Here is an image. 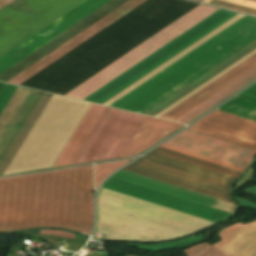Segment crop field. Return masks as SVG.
I'll return each instance as SVG.
<instances>
[{"label":"crop field","instance_id":"8a807250","mask_svg":"<svg viewBox=\"0 0 256 256\" xmlns=\"http://www.w3.org/2000/svg\"><path fill=\"white\" fill-rule=\"evenodd\" d=\"M92 166L0 179V232L41 226L89 234Z\"/></svg>","mask_w":256,"mask_h":256},{"label":"crop field","instance_id":"ac0d7876","mask_svg":"<svg viewBox=\"0 0 256 256\" xmlns=\"http://www.w3.org/2000/svg\"><path fill=\"white\" fill-rule=\"evenodd\" d=\"M198 5L147 0L21 86L63 95Z\"/></svg>","mask_w":256,"mask_h":256},{"label":"crop field","instance_id":"34b2d1b8","mask_svg":"<svg viewBox=\"0 0 256 256\" xmlns=\"http://www.w3.org/2000/svg\"><path fill=\"white\" fill-rule=\"evenodd\" d=\"M256 34V19L243 17L111 107L138 112Z\"/></svg>","mask_w":256,"mask_h":256},{"label":"crop field","instance_id":"412701ff","mask_svg":"<svg viewBox=\"0 0 256 256\" xmlns=\"http://www.w3.org/2000/svg\"><path fill=\"white\" fill-rule=\"evenodd\" d=\"M123 170L231 203L234 202L229 195L230 186L241 175V172L160 147Z\"/></svg>","mask_w":256,"mask_h":256},{"label":"crop field","instance_id":"f4fd0767","mask_svg":"<svg viewBox=\"0 0 256 256\" xmlns=\"http://www.w3.org/2000/svg\"><path fill=\"white\" fill-rule=\"evenodd\" d=\"M84 0H16L0 11V56Z\"/></svg>","mask_w":256,"mask_h":256},{"label":"crop field","instance_id":"dd49c442","mask_svg":"<svg viewBox=\"0 0 256 256\" xmlns=\"http://www.w3.org/2000/svg\"><path fill=\"white\" fill-rule=\"evenodd\" d=\"M216 10L217 8L203 5L198 6L132 51L128 52L88 80L66 93L65 96L81 100L85 99Z\"/></svg>","mask_w":256,"mask_h":256},{"label":"crop field","instance_id":"e52e79f7","mask_svg":"<svg viewBox=\"0 0 256 256\" xmlns=\"http://www.w3.org/2000/svg\"><path fill=\"white\" fill-rule=\"evenodd\" d=\"M237 13L219 9L185 33L89 96L85 101L102 104L168 59L172 58Z\"/></svg>","mask_w":256,"mask_h":256},{"label":"crop field","instance_id":"d8731c3e","mask_svg":"<svg viewBox=\"0 0 256 256\" xmlns=\"http://www.w3.org/2000/svg\"><path fill=\"white\" fill-rule=\"evenodd\" d=\"M144 119L107 107L72 165L121 158Z\"/></svg>","mask_w":256,"mask_h":256},{"label":"crop field","instance_id":"5a996713","mask_svg":"<svg viewBox=\"0 0 256 256\" xmlns=\"http://www.w3.org/2000/svg\"><path fill=\"white\" fill-rule=\"evenodd\" d=\"M164 144L246 169L256 151L191 131H183Z\"/></svg>","mask_w":256,"mask_h":256},{"label":"crop field","instance_id":"3316defc","mask_svg":"<svg viewBox=\"0 0 256 256\" xmlns=\"http://www.w3.org/2000/svg\"><path fill=\"white\" fill-rule=\"evenodd\" d=\"M102 188L159 204L168 208L192 214L215 222L227 219L232 213L205 206L196 202L172 196L140 185L111 177Z\"/></svg>","mask_w":256,"mask_h":256},{"label":"crop field","instance_id":"28ad6ade","mask_svg":"<svg viewBox=\"0 0 256 256\" xmlns=\"http://www.w3.org/2000/svg\"><path fill=\"white\" fill-rule=\"evenodd\" d=\"M187 130L256 150V122L213 111Z\"/></svg>","mask_w":256,"mask_h":256},{"label":"crop field","instance_id":"d1516ede","mask_svg":"<svg viewBox=\"0 0 256 256\" xmlns=\"http://www.w3.org/2000/svg\"><path fill=\"white\" fill-rule=\"evenodd\" d=\"M109 0H86L8 53L0 57V72L49 41ZM8 69V68H7ZM5 71V70H4Z\"/></svg>","mask_w":256,"mask_h":256},{"label":"crop field","instance_id":"22f410ed","mask_svg":"<svg viewBox=\"0 0 256 256\" xmlns=\"http://www.w3.org/2000/svg\"><path fill=\"white\" fill-rule=\"evenodd\" d=\"M127 1L128 0L109 1L108 3H106L84 19L80 20L49 42L45 43L44 45H42L29 55L9 67L5 71L1 72L0 81H8L9 79H11L12 77H14L15 75H17L18 73H20L21 71H23L24 69H26L27 67H29L30 65H32L33 63H35L72 37H74L75 35L79 34L80 32H82L83 30H85L86 28H88L89 26H91L92 24H94L95 22H97L98 20H100Z\"/></svg>","mask_w":256,"mask_h":256},{"label":"crop field","instance_id":"cbeb9de0","mask_svg":"<svg viewBox=\"0 0 256 256\" xmlns=\"http://www.w3.org/2000/svg\"><path fill=\"white\" fill-rule=\"evenodd\" d=\"M144 1L145 0L128 1L127 3H125L124 5H122L121 7H119L82 33H80L79 35L75 36L41 60L30 66L29 68L9 80L8 83L16 85L21 84L22 82H24L25 80H27L28 78H30L31 76H33L34 74H36L37 72H39L40 70H42L43 68H45L46 66H48L49 64H51L52 62H54L55 60H57L58 58H60L61 56H63L64 54H66L67 52H69L70 50H72L73 48H75L76 46H78L79 44H81L82 42H84L85 40H87L88 38H90L91 36H93L94 34H96L97 32H99L100 30H102L103 28H105L106 26H108L109 24H111L112 22H114L115 20H117Z\"/></svg>","mask_w":256,"mask_h":256},{"label":"crop field","instance_id":"5142ce71","mask_svg":"<svg viewBox=\"0 0 256 256\" xmlns=\"http://www.w3.org/2000/svg\"><path fill=\"white\" fill-rule=\"evenodd\" d=\"M256 66V54L179 104L178 106L174 107L167 113L161 116V118L169 119V120H177L191 109L223 89L225 86L251 70Z\"/></svg>","mask_w":256,"mask_h":256},{"label":"crop field","instance_id":"d9b57169","mask_svg":"<svg viewBox=\"0 0 256 256\" xmlns=\"http://www.w3.org/2000/svg\"><path fill=\"white\" fill-rule=\"evenodd\" d=\"M223 240L212 245L230 256H254L256 254V220L240 223L220 231Z\"/></svg>","mask_w":256,"mask_h":256},{"label":"crop field","instance_id":"733c2abd","mask_svg":"<svg viewBox=\"0 0 256 256\" xmlns=\"http://www.w3.org/2000/svg\"><path fill=\"white\" fill-rule=\"evenodd\" d=\"M180 126L182 124L146 117L122 158L144 151Z\"/></svg>","mask_w":256,"mask_h":256},{"label":"crop field","instance_id":"4a817a6b","mask_svg":"<svg viewBox=\"0 0 256 256\" xmlns=\"http://www.w3.org/2000/svg\"><path fill=\"white\" fill-rule=\"evenodd\" d=\"M105 109V106L92 104L53 167L71 165Z\"/></svg>","mask_w":256,"mask_h":256},{"label":"crop field","instance_id":"bc2a9ffb","mask_svg":"<svg viewBox=\"0 0 256 256\" xmlns=\"http://www.w3.org/2000/svg\"><path fill=\"white\" fill-rule=\"evenodd\" d=\"M255 77H256V68L250 71L249 73H247L246 75H244L242 78L252 80ZM247 82H249V80H245L241 78L238 79L237 81H235L234 83H232L231 85H229L228 87H226L225 89H223L222 91H220L219 93H217L216 95H214L213 97L205 101L204 103H202L201 105H199L198 107H196L195 109H193L192 111H190L189 113H187L186 115L178 119L176 122H180L184 124L188 123L193 118H195L196 116H198L199 114H201L202 112H204L205 110L213 106L214 104L218 103L219 101L227 97L229 94H231L232 92H234L236 89L243 86Z\"/></svg>","mask_w":256,"mask_h":256},{"label":"crop field","instance_id":"214f88e0","mask_svg":"<svg viewBox=\"0 0 256 256\" xmlns=\"http://www.w3.org/2000/svg\"><path fill=\"white\" fill-rule=\"evenodd\" d=\"M217 110L256 121V103L240 98H233Z\"/></svg>","mask_w":256,"mask_h":256},{"label":"crop field","instance_id":"92a150f3","mask_svg":"<svg viewBox=\"0 0 256 256\" xmlns=\"http://www.w3.org/2000/svg\"><path fill=\"white\" fill-rule=\"evenodd\" d=\"M204 3L256 16V2L250 0H205Z\"/></svg>","mask_w":256,"mask_h":256},{"label":"crop field","instance_id":"dafd665d","mask_svg":"<svg viewBox=\"0 0 256 256\" xmlns=\"http://www.w3.org/2000/svg\"><path fill=\"white\" fill-rule=\"evenodd\" d=\"M255 38H256V35L250 38L249 40H247L246 42H244L243 44H241L240 46L236 47L235 49H233L232 51H230L229 53H227L226 55H224L223 57H221L211 65H209L208 67H206L205 69H203L202 71H200L199 73H197L196 75H194L193 77H191L190 79H188L187 81H185L184 83H182L181 85L173 89L172 91L168 92L167 94H165L164 96H162L161 98H159L158 100H156L155 102H153L152 104H150L149 106L141 110L139 113L141 114L145 113L146 111H148L149 109H151L152 107H154L155 105H157L158 103H160L161 101H163L164 99H166L167 97H169L170 95H172L173 93H175L176 91H178L179 89H181L182 87H184L185 85H187L188 83L196 79L197 77H199L200 75H202L203 73L211 69L213 66H215L216 64H218L219 62H221L222 60H224L225 58H227L228 56H230L231 54H233L234 52H236L237 50H239L240 48H242L243 46H245Z\"/></svg>","mask_w":256,"mask_h":256},{"label":"crop field","instance_id":"00972430","mask_svg":"<svg viewBox=\"0 0 256 256\" xmlns=\"http://www.w3.org/2000/svg\"><path fill=\"white\" fill-rule=\"evenodd\" d=\"M128 161L130 160L95 165L94 188L97 189L98 185L103 179L108 177L114 170L124 165Z\"/></svg>","mask_w":256,"mask_h":256},{"label":"crop field","instance_id":"a9b5d70f","mask_svg":"<svg viewBox=\"0 0 256 256\" xmlns=\"http://www.w3.org/2000/svg\"><path fill=\"white\" fill-rule=\"evenodd\" d=\"M160 147L167 148V149H170V150H173V151H176V152H180V153L192 156V157H196V158H199V159H202V160H205V161H209V162H212V163H215V164H218V165H222V166H225V167H228V168H231V169H234V170H238V171H241V172L244 171V169L234 167V166L222 163V162H218V161H215V160H212V159H209V158H206V157H202V156L190 153V152H186V151L174 148V147H170V146H167V145H164V144L160 145Z\"/></svg>","mask_w":256,"mask_h":256},{"label":"crop field","instance_id":"4177f3b9","mask_svg":"<svg viewBox=\"0 0 256 256\" xmlns=\"http://www.w3.org/2000/svg\"><path fill=\"white\" fill-rule=\"evenodd\" d=\"M16 89V86L8 85L4 87L3 91L0 94V113L6 103L8 102L9 98L13 94L14 90Z\"/></svg>","mask_w":256,"mask_h":256},{"label":"crop field","instance_id":"730fd06b","mask_svg":"<svg viewBox=\"0 0 256 256\" xmlns=\"http://www.w3.org/2000/svg\"><path fill=\"white\" fill-rule=\"evenodd\" d=\"M210 247L207 243H202L197 246L188 248L186 250H183L184 254L186 256H200L205 250H207Z\"/></svg>","mask_w":256,"mask_h":256},{"label":"crop field","instance_id":"eef30255","mask_svg":"<svg viewBox=\"0 0 256 256\" xmlns=\"http://www.w3.org/2000/svg\"><path fill=\"white\" fill-rule=\"evenodd\" d=\"M237 97L256 102V83L237 95Z\"/></svg>","mask_w":256,"mask_h":256},{"label":"crop field","instance_id":"ae1a2a85","mask_svg":"<svg viewBox=\"0 0 256 256\" xmlns=\"http://www.w3.org/2000/svg\"><path fill=\"white\" fill-rule=\"evenodd\" d=\"M244 191H247L249 193H252V194L256 195V187L247 188ZM236 199L238 200V202H239V204L241 206H245V207H249V208H252V209H256V204L255 203H253L251 201H248L246 199H243V198L236 197Z\"/></svg>","mask_w":256,"mask_h":256},{"label":"crop field","instance_id":"d3111659","mask_svg":"<svg viewBox=\"0 0 256 256\" xmlns=\"http://www.w3.org/2000/svg\"><path fill=\"white\" fill-rule=\"evenodd\" d=\"M46 235L52 234L60 237L74 238V234L68 233L66 231H56V230H44Z\"/></svg>","mask_w":256,"mask_h":256},{"label":"crop field","instance_id":"750c4746","mask_svg":"<svg viewBox=\"0 0 256 256\" xmlns=\"http://www.w3.org/2000/svg\"><path fill=\"white\" fill-rule=\"evenodd\" d=\"M201 256H228V255L211 246Z\"/></svg>","mask_w":256,"mask_h":256},{"label":"crop field","instance_id":"bd1437ed","mask_svg":"<svg viewBox=\"0 0 256 256\" xmlns=\"http://www.w3.org/2000/svg\"><path fill=\"white\" fill-rule=\"evenodd\" d=\"M11 1H13V0H0V8H2L3 6L7 5Z\"/></svg>","mask_w":256,"mask_h":256},{"label":"crop field","instance_id":"1d83c4d3","mask_svg":"<svg viewBox=\"0 0 256 256\" xmlns=\"http://www.w3.org/2000/svg\"><path fill=\"white\" fill-rule=\"evenodd\" d=\"M5 86L4 83H0V92L2 91L3 87Z\"/></svg>","mask_w":256,"mask_h":256},{"label":"crop field","instance_id":"120bbe31","mask_svg":"<svg viewBox=\"0 0 256 256\" xmlns=\"http://www.w3.org/2000/svg\"><path fill=\"white\" fill-rule=\"evenodd\" d=\"M196 1L202 2L203 0H196Z\"/></svg>","mask_w":256,"mask_h":256},{"label":"crop field","instance_id":"d32e631a","mask_svg":"<svg viewBox=\"0 0 256 256\" xmlns=\"http://www.w3.org/2000/svg\"><path fill=\"white\" fill-rule=\"evenodd\" d=\"M254 1H256V0H254Z\"/></svg>","mask_w":256,"mask_h":256}]
</instances>
